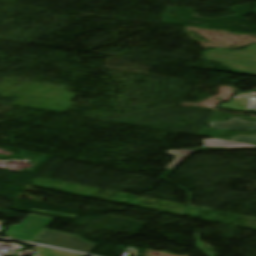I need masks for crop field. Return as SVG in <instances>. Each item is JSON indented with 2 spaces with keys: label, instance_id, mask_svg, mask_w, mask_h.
<instances>
[{
  "label": "crop field",
  "instance_id": "f4fd0767",
  "mask_svg": "<svg viewBox=\"0 0 256 256\" xmlns=\"http://www.w3.org/2000/svg\"><path fill=\"white\" fill-rule=\"evenodd\" d=\"M35 251H36L35 256H75L71 253L50 249V248H44V247H39Z\"/></svg>",
  "mask_w": 256,
  "mask_h": 256
},
{
  "label": "crop field",
  "instance_id": "e52e79f7",
  "mask_svg": "<svg viewBox=\"0 0 256 256\" xmlns=\"http://www.w3.org/2000/svg\"><path fill=\"white\" fill-rule=\"evenodd\" d=\"M244 111H256V98L246 107Z\"/></svg>",
  "mask_w": 256,
  "mask_h": 256
},
{
  "label": "crop field",
  "instance_id": "412701ff",
  "mask_svg": "<svg viewBox=\"0 0 256 256\" xmlns=\"http://www.w3.org/2000/svg\"><path fill=\"white\" fill-rule=\"evenodd\" d=\"M210 126L222 130H256V122H247L240 118H233L230 121L213 122Z\"/></svg>",
  "mask_w": 256,
  "mask_h": 256
},
{
  "label": "crop field",
  "instance_id": "34b2d1b8",
  "mask_svg": "<svg viewBox=\"0 0 256 256\" xmlns=\"http://www.w3.org/2000/svg\"><path fill=\"white\" fill-rule=\"evenodd\" d=\"M51 221L52 218L30 214L20 225H13L7 233L11 238L32 242Z\"/></svg>",
  "mask_w": 256,
  "mask_h": 256
},
{
  "label": "crop field",
  "instance_id": "8a807250",
  "mask_svg": "<svg viewBox=\"0 0 256 256\" xmlns=\"http://www.w3.org/2000/svg\"><path fill=\"white\" fill-rule=\"evenodd\" d=\"M204 55L206 59L221 62L236 73L256 76V45L242 52L208 50Z\"/></svg>",
  "mask_w": 256,
  "mask_h": 256
},
{
  "label": "crop field",
  "instance_id": "dd49c442",
  "mask_svg": "<svg viewBox=\"0 0 256 256\" xmlns=\"http://www.w3.org/2000/svg\"><path fill=\"white\" fill-rule=\"evenodd\" d=\"M233 141L256 145V139L255 138L238 137V138L233 139Z\"/></svg>",
  "mask_w": 256,
  "mask_h": 256
},
{
  "label": "crop field",
  "instance_id": "ac0d7876",
  "mask_svg": "<svg viewBox=\"0 0 256 256\" xmlns=\"http://www.w3.org/2000/svg\"><path fill=\"white\" fill-rule=\"evenodd\" d=\"M33 242L87 253L97 246L80 236L47 229H44Z\"/></svg>",
  "mask_w": 256,
  "mask_h": 256
}]
</instances>
